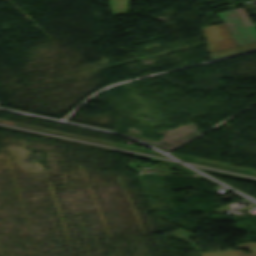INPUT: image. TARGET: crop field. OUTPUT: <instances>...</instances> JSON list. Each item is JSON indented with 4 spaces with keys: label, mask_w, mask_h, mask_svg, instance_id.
I'll list each match as a JSON object with an SVG mask.
<instances>
[{
    "label": "crop field",
    "mask_w": 256,
    "mask_h": 256,
    "mask_svg": "<svg viewBox=\"0 0 256 256\" xmlns=\"http://www.w3.org/2000/svg\"><path fill=\"white\" fill-rule=\"evenodd\" d=\"M171 236L177 239H180L186 243H190L187 239L194 235L179 227L173 234H171ZM193 247L201 254V256H256V242H243V243L236 244L235 247H238V248H249L252 253L249 255H246L242 251H235V250H224V251L201 253L195 246Z\"/></svg>",
    "instance_id": "crop-field-1"
}]
</instances>
